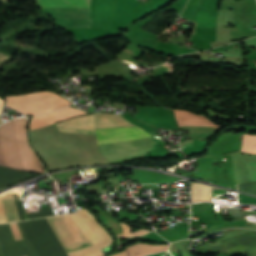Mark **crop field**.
<instances>
[{
  "label": "crop field",
  "mask_w": 256,
  "mask_h": 256,
  "mask_svg": "<svg viewBox=\"0 0 256 256\" xmlns=\"http://www.w3.org/2000/svg\"><path fill=\"white\" fill-rule=\"evenodd\" d=\"M26 119L0 126V165L44 173L26 140Z\"/></svg>",
  "instance_id": "1"
},
{
  "label": "crop field",
  "mask_w": 256,
  "mask_h": 256,
  "mask_svg": "<svg viewBox=\"0 0 256 256\" xmlns=\"http://www.w3.org/2000/svg\"><path fill=\"white\" fill-rule=\"evenodd\" d=\"M95 122L96 129L138 128L113 114L95 113ZM96 138L98 146L150 139L141 129L96 130Z\"/></svg>",
  "instance_id": "2"
},
{
  "label": "crop field",
  "mask_w": 256,
  "mask_h": 256,
  "mask_svg": "<svg viewBox=\"0 0 256 256\" xmlns=\"http://www.w3.org/2000/svg\"><path fill=\"white\" fill-rule=\"evenodd\" d=\"M38 7L89 8L90 0H33ZM41 8L61 27H90L91 9Z\"/></svg>",
  "instance_id": "3"
},
{
  "label": "crop field",
  "mask_w": 256,
  "mask_h": 256,
  "mask_svg": "<svg viewBox=\"0 0 256 256\" xmlns=\"http://www.w3.org/2000/svg\"><path fill=\"white\" fill-rule=\"evenodd\" d=\"M69 216L94 245L86 249L69 253L68 256H103L101 249L111 244L112 239L94 220V217L85 209H79L77 213L69 214Z\"/></svg>",
  "instance_id": "4"
},
{
  "label": "crop field",
  "mask_w": 256,
  "mask_h": 256,
  "mask_svg": "<svg viewBox=\"0 0 256 256\" xmlns=\"http://www.w3.org/2000/svg\"><path fill=\"white\" fill-rule=\"evenodd\" d=\"M6 103L27 115L39 114L70 104L67 100L49 91H40L17 96H6Z\"/></svg>",
  "instance_id": "5"
},
{
  "label": "crop field",
  "mask_w": 256,
  "mask_h": 256,
  "mask_svg": "<svg viewBox=\"0 0 256 256\" xmlns=\"http://www.w3.org/2000/svg\"><path fill=\"white\" fill-rule=\"evenodd\" d=\"M47 220L66 253L92 245L68 215L53 216L47 218Z\"/></svg>",
  "instance_id": "6"
},
{
  "label": "crop field",
  "mask_w": 256,
  "mask_h": 256,
  "mask_svg": "<svg viewBox=\"0 0 256 256\" xmlns=\"http://www.w3.org/2000/svg\"><path fill=\"white\" fill-rule=\"evenodd\" d=\"M224 254L256 253V232H245L221 241Z\"/></svg>",
  "instance_id": "7"
},
{
  "label": "crop field",
  "mask_w": 256,
  "mask_h": 256,
  "mask_svg": "<svg viewBox=\"0 0 256 256\" xmlns=\"http://www.w3.org/2000/svg\"><path fill=\"white\" fill-rule=\"evenodd\" d=\"M88 114L81 110L73 109L70 107L49 112L43 115L36 116L31 119L29 130L52 125L56 121L72 118L79 115Z\"/></svg>",
  "instance_id": "8"
},
{
  "label": "crop field",
  "mask_w": 256,
  "mask_h": 256,
  "mask_svg": "<svg viewBox=\"0 0 256 256\" xmlns=\"http://www.w3.org/2000/svg\"><path fill=\"white\" fill-rule=\"evenodd\" d=\"M57 129L65 132L95 135L94 113L57 123Z\"/></svg>",
  "instance_id": "9"
},
{
  "label": "crop field",
  "mask_w": 256,
  "mask_h": 256,
  "mask_svg": "<svg viewBox=\"0 0 256 256\" xmlns=\"http://www.w3.org/2000/svg\"><path fill=\"white\" fill-rule=\"evenodd\" d=\"M21 191L22 190L18 188H13L11 190L0 193V204L6 222L20 220L14 200H19Z\"/></svg>",
  "instance_id": "10"
},
{
  "label": "crop field",
  "mask_w": 256,
  "mask_h": 256,
  "mask_svg": "<svg viewBox=\"0 0 256 256\" xmlns=\"http://www.w3.org/2000/svg\"><path fill=\"white\" fill-rule=\"evenodd\" d=\"M177 123L181 125H207V126H216L211 122L207 121L203 116L192 114L186 111L173 110Z\"/></svg>",
  "instance_id": "11"
},
{
  "label": "crop field",
  "mask_w": 256,
  "mask_h": 256,
  "mask_svg": "<svg viewBox=\"0 0 256 256\" xmlns=\"http://www.w3.org/2000/svg\"><path fill=\"white\" fill-rule=\"evenodd\" d=\"M167 247L168 245L153 246V245H145V244H136V245L127 247L126 251L113 256H127L126 254H129L130 256H143L146 254L167 250Z\"/></svg>",
  "instance_id": "12"
},
{
  "label": "crop field",
  "mask_w": 256,
  "mask_h": 256,
  "mask_svg": "<svg viewBox=\"0 0 256 256\" xmlns=\"http://www.w3.org/2000/svg\"><path fill=\"white\" fill-rule=\"evenodd\" d=\"M191 194L192 200L199 201V200H211V186L200 184V183H191Z\"/></svg>",
  "instance_id": "13"
},
{
  "label": "crop field",
  "mask_w": 256,
  "mask_h": 256,
  "mask_svg": "<svg viewBox=\"0 0 256 256\" xmlns=\"http://www.w3.org/2000/svg\"><path fill=\"white\" fill-rule=\"evenodd\" d=\"M241 151L256 153V136L243 134V144Z\"/></svg>",
  "instance_id": "14"
},
{
  "label": "crop field",
  "mask_w": 256,
  "mask_h": 256,
  "mask_svg": "<svg viewBox=\"0 0 256 256\" xmlns=\"http://www.w3.org/2000/svg\"><path fill=\"white\" fill-rule=\"evenodd\" d=\"M120 225L122 226L123 228V232H124V236L125 237H128V236H136V235H142V234H145L147 232H149V230H137L135 231L134 233L130 234V228L127 224H125L124 222H121Z\"/></svg>",
  "instance_id": "15"
},
{
  "label": "crop field",
  "mask_w": 256,
  "mask_h": 256,
  "mask_svg": "<svg viewBox=\"0 0 256 256\" xmlns=\"http://www.w3.org/2000/svg\"><path fill=\"white\" fill-rule=\"evenodd\" d=\"M239 190L256 194V182L240 184Z\"/></svg>",
  "instance_id": "16"
},
{
  "label": "crop field",
  "mask_w": 256,
  "mask_h": 256,
  "mask_svg": "<svg viewBox=\"0 0 256 256\" xmlns=\"http://www.w3.org/2000/svg\"><path fill=\"white\" fill-rule=\"evenodd\" d=\"M250 181H256V163H247Z\"/></svg>",
  "instance_id": "17"
},
{
  "label": "crop field",
  "mask_w": 256,
  "mask_h": 256,
  "mask_svg": "<svg viewBox=\"0 0 256 256\" xmlns=\"http://www.w3.org/2000/svg\"><path fill=\"white\" fill-rule=\"evenodd\" d=\"M9 225L11 227V230L13 232L15 240L17 241V240L23 239L17 224L16 223H12V224H9Z\"/></svg>",
  "instance_id": "18"
},
{
  "label": "crop field",
  "mask_w": 256,
  "mask_h": 256,
  "mask_svg": "<svg viewBox=\"0 0 256 256\" xmlns=\"http://www.w3.org/2000/svg\"><path fill=\"white\" fill-rule=\"evenodd\" d=\"M4 217H3V214H2V210H1V207H0V223H4Z\"/></svg>",
  "instance_id": "19"
},
{
  "label": "crop field",
  "mask_w": 256,
  "mask_h": 256,
  "mask_svg": "<svg viewBox=\"0 0 256 256\" xmlns=\"http://www.w3.org/2000/svg\"><path fill=\"white\" fill-rule=\"evenodd\" d=\"M2 108H3V101L0 99V114H1Z\"/></svg>",
  "instance_id": "20"
},
{
  "label": "crop field",
  "mask_w": 256,
  "mask_h": 256,
  "mask_svg": "<svg viewBox=\"0 0 256 256\" xmlns=\"http://www.w3.org/2000/svg\"><path fill=\"white\" fill-rule=\"evenodd\" d=\"M2 123L1 119H0V124Z\"/></svg>",
  "instance_id": "21"
}]
</instances>
